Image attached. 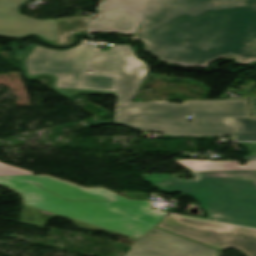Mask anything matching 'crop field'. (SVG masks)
<instances>
[{
    "label": "crop field",
    "mask_w": 256,
    "mask_h": 256,
    "mask_svg": "<svg viewBox=\"0 0 256 256\" xmlns=\"http://www.w3.org/2000/svg\"><path fill=\"white\" fill-rule=\"evenodd\" d=\"M139 25L133 41L163 62L256 61V0H105L89 31L134 34Z\"/></svg>",
    "instance_id": "8a807250"
},
{
    "label": "crop field",
    "mask_w": 256,
    "mask_h": 256,
    "mask_svg": "<svg viewBox=\"0 0 256 256\" xmlns=\"http://www.w3.org/2000/svg\"><path fill=\"white\" fill-rule=\"evenodd\" d=\"M89 69L117 76L116 121H92L93 124L120 123L133 129L176 135L237 134L234 118H250L247 99L132 103L149 67L137 59L132 46L112 45L109 52L96 49ZM186 114H193L191 123Z\"/></svg>",
    "instance_id": "ac0d7876"
},
{
    "label": "crop field",
    "mask_w": 256,
    "mask_h": 256,
    "mask_svg": "<svg viewBox=\"0 0 256 256\" xmlns=\"http://www.w3.org/2000/svg\"><path fill=\"white\" fill-rule=\"evenodd\" d=\"M23 197L21 222L44 226L52 217L73 220L81 229L102 230L137 240L166 215L148 201H131L105 188L86 189L48 175L0 176Z\"/></svg>",
    "instance_id": "34b2d1b8"
},
{
    "label": "crop field",
    "mask_w": 256,
    "mask_h": 256,
    "mask_svg": "<svg viewBox=\"0 0 256 256\" xmlns=\"http://www.w3.org/2000/svg\"><path fill=\"white\" fill-rule=\"evenodd\" d=\"M195 179L167 174L143 175L163 193H186L207 213L208 220L256 228L255 171L192 172Z\"/></svg>",
    "instance_id": "412701ff"
},
{
    "label": "crop field",
    "mask_w": 256,
    "mask_h": 256,
    "mask_svg": "<svg viewBox=\"0 0 256 256\" xmlns=\"http://www.w3.org/2000/svg\"><path fill=\"white\" fill-rule=\"evenodd\" d=\"M94 46L80 44L66 51L33 46L30 51H17L21 66L29 81L51 76L52 89L61 96L77 93L116 96L113 75L85 73Z\"/></svg>",
    "instance_id": "f4fd0767"
},
{
    "label": "crop field",
    "mask_w": 256,
    "mask_h": 256,
    "mask_svg": "<svg viewBox=\"0 0 256 256\" xmlns=\"http://www.w3.org/2000/svg\"><path fill=\"white\" fill-rule=\"evenodd\" d=\"M157 227L222 250L235 247L247 256H256V230L189 219L166 216Z\"/></svg>",
    "instance_id": "dd49c442"
},
{
    "label": "crop field",
    "mask_w": 256,
    "mask_h": 256,
    "mask_svg": "<svg viewBox=\"0 0 256 256\" xmlns=\"http://www.w3.org/2000/svg\"><path fill=\"white\" fill-rule=\"evenodd\" d=\"M125 256H217L218 250L154 228Z\"/></svg>",
    "instance_id": "e52e79f7"
},
{
    "label": "crop field",
    "mask_w": 256,
    "mask_h": 256,
    "mask_svg": "<svg viewBox=\"0 0 256 256\" xmlns=\"http://www.w3.org/2000/svg\"><path fill=\"white\" fill-rule=\"evenodd\" d=\"M28 0H0V36L25 37L36 34L57 45L55 19L33 20L18 14L17 8Z\"/></svg>",
    "instance_id": "d8731c3e"
},
{
    "label": "crop field",
    "mask_w": 256,
    "mask_h": 256,
    "mask_svg": "<svg viewBox=\"0 0 256 256\" xmlns=\"http://www.w3.org/2000/svg\"><path fill=\"white\" fill-rule=\"evenodd\" d=\"M91 18L56 19L59 46H68L74 42L73 33H86Z\"/></svg>",
    "instance_id": "5a996713"
},
{
    "label": "crop field",
    "mask_w": 256,
    "mask_h": 256,
    "mask_svg": "<svg viewBox=\"0 0 256 256\" xmlns=\"http://www.w3.org/2000/svg\"><path fill=\"white\" fill-rule=\"evenodd\" d=\"M191 171H225V170H255L256 161H248L247 165L241 166L238 161L210 162L200 160H179L176 161Z\"/></svg>",
    "instance_id": "3316defc"
},
{
    "label": "crop field",
    "mask_w": 256,
    "mask_h": 256,
    "mask_svg": "<svg viewBox=\"0 0 256 256\" xmlns=\"http://www.w3.org/2000/svg\"><path fill=\"white\" fill-rule=\"evenodd\" d=\"M239 132L256 133V119H235Z\"/></svg>",
    "instance_id": "28ad6ade"
},
{
    "label": "crop field",
    "mask_w": 256,
    "mask_h": 256,
    "mask_svg": "<svg viewBox=\"0 0 256 256\" xmlns=\"http://www.w3.org/2000/svg\"><path fill=\"white\" fill-rule=\"evenodd\" d=\"M12 174H34L30 171H26L13 166L5 165L0 162V175H12Z\"/></svg>",
    "instance_id": "d1516ede"
},
{
    "label": "crop field",
    "mask_w": 256,
    "mask_h": 256,
    "mask_svg": "<svg viewBox=\"0 0 256 256\" xmlns=\"http://www.w3.org/2000/svg\"><path fill=\"white\" fill-rule=\"evenodd\" d=\"M127 197L133 200H147L149 194L147 193H140V192H122Z\"/></svg>",
    "instance_id": "22f410ed"
},
{
    "label": "crop field",
    "mask_w": 256,
    "mask_h": 256,
    "mask_svg": "<svg viewBox=\"0 0 256 256\" xmlns=\"http://www.w3.org/2000/svg\"><path fill=\"white\" fill-rule=\"evenodd\" d=\"M237 144L245 147L249 152L248 155L256 154V143L255 142H239Z\"/></svg>",
    "instance_id": "cbeb9de0"
},
{
    "label": "crop field",
    "mask_w": 256,
    "mask_h": 256,
    "mask_svg": "<svg viewBox=\"0 0 256 256\" xmlns=\"http://www.w3.org/2000/svg\"><path fill=\"white\" fill-rule=\"evenodd\" d=\"M256 141V134H244V133H238L236 135V141Z\"/></svg>",
    "instance_id": "5142ce71"
},
{
    "label": "crop field",
    "mask_w": 256,
    "mask_h": 256,
    "mask_svg": "<svg viewBox=\"0 0 256 256\" xmlns=\"http://www.w3.org/2000/svg\"><path fill=\"white\" fill-rule=\"evenodd\" d=\"M252 117L256 118V99H249Z\"/></svg>",
    "instance_id": "d9b57169"
},
{
    "label": "crop field",
    "mask_w": 256,
    "mask_h": 256,
    "mask_svg": "<svg viewBox=\"0 0 256 256\" xmlns=\"http://www.w3.org/2000/svg\"><path fill=\"white\" fill-rule=\"evenodd\" d=\"M244 160H256V155H254V156H245Z\"/></svg>",
    "instance_id": "733c2abd"
}]
</instances>
